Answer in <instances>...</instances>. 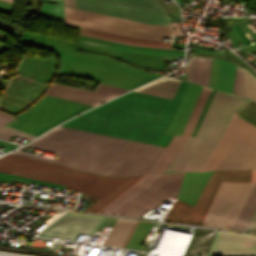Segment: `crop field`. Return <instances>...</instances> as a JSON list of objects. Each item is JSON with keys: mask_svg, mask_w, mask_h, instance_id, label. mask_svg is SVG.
<instances>
[{"mask_svg": "<svg viewBox=\"0 0 256 256\" xmlns=\"http://www.w3.org/2000/svg\"><path fill=\"white\" fill-rule=\"evenodd\" d=\"M250 100L237 95L216 91L196 137L188 136L185 144L164 171H200L206 159L220 141L233 114ZM239 140V139H238ZM234 144L217 170L256 169V149L238 141Z\"/></svg>", "mask_w": 256, "mask_h": 256, "instance_id": "2", "label": "crop field"}, {"mask_svg": "<svg viewBox=\"0 0 256 256\" xmlns=\"http://www.w3.org/2000/svg\"><path fill=\"white\" fill-rule=\"evenodd\" d=\"M81 34H83V33H81ZM83 35L92 36V35H88V34H83ZM92 37H97V36H92ZM97 38L106 39V38H102V37H97ZM106 40H111V39H106ZM111 41L120 42V43H125V42L116 41V40H111ZM125 44L136 45V46H146V47H156V46L137 45V44H130V43H125ZM156 48H166V47H156ZM166 49H170V48H166Z\"/></svg>", "mask_w": 256, "mask_h": 256, "instance_id": "31", "label": "crop field"}, {"mask_svg": "<svg viewBox=\"0 0 256 256\" xmlns=\"http://www.w3.org/2000/svg\"><path fill=\"white\" fill-rule=\"evenodd\" d=\"M125 91L102 83L95 91L52 83L46 94L95 106Z\"/></svg>", "mask_w": 256, "mask_h": 256, "instance_id": "10", "label": "crop field"}, {"mask_svg": "<svg viewBox=\"0 0 256 256\" xmlns=\"http://www.w3.org/2000/svg\"><path fill=\"white\" fill-rule=\"evenodd\" d=\"M12 135L20 137V138L28 140V141H30V140H32L33 138L36 137V136H33L31 134L22 132L20 130L14 129V128H11V127L6 126V125H4L0 128V138L1 139L9 141Z\"/></svg>", "mask_w": 256, "mask_h": 256, "instance_id": "23", "label": "crop field"}, {"mask_svg": "<svg viewBox=\"0 0 256 256\" xmlns=\"http://www.w3.org/2000/svg\"><path fill=\"white\" fill-rule=\"evenodd\" d=\"M212 59L190 56L187 81L208 86Z\"/></svg>", "mask_w": 256, "mask_h": 256, "instance_id": "13", "label": "crop field"}, {"mask_svg": "<svg viewBox=\"0 0 256 256\" xmlns=\"http://www.w3.org/2000/svg\"><path fill=\"white\" fill-rule=\"evenodd\" d=\"M159 175L160 174L144 176L127 191H125L122 195H120L117 199H115L112 203H110L106 208H104L100 213L112 214L122 205H124L126 202H128L130 199H132L134 196L144 190L147 186H149L153 181L158 178Z\"/></svg>", "mask_w": 256, "mask_h": 256, "instance_id": "14", "label": "crop field"}, {"mask_svg": "<svg viewBox=\"0 0 256 256\" xmlns=\"http://www.w3.org/2000/svg\"><path fill=\"white\" fill-rule=\"evenodd\" d=\"M13 118L14 117L0 111V127L12 120Z\"/></svg>", "mask_w": 256, "mask_h": 256, "instance_id": "28", "label": "crop field"}, {"mask_svg": "<svg viewBox=\"0 0 256 256\" xmlns=\"http://www.w3.org/2000/svg\"><path fill=\"white\" fill-rule=\"evenodd\" d=\"M20 176L66 185L69 186L68 188L70 189L98 198L100 200L87 209V211L93 212H99L102 210L141 177H143L135 176L129 178H115L84 172Z\"/></svg>", "mask_w": 256, "mask_h": 256, "instance_id": "3", "label": "crop field"}, {"mask_svg": "<svg viewBox=\"0 0 256 256\" xmlns=\"http://www.w3.org/2000/svg\"><path fill=\"white\" fill-rule=\"evenodd\" d=\"M105 217L67 213L40 235L75 240L80 233L92 234Z\"/></svg>", "mask_w": 256, "mask_h": 256, "instance_id": "9", "label": "crop field"}, {"mask_svg": "<svg viewBox=\"0 0 256 256\" xmlns=\"http://www.w3.org/2000/svg\"><path fill=\"white\" fill-rule=\"evenodd\" d=\"M184 174H161L155 182L113 214L139 217L150 208L156 209L170 196L176 198Z\"/></svg>", "mask_w": 256, "mask_h": 256, "instance_id": "8", "label": "crop field"}, {"mask_svg": "<svg viewBox=\"0 0 256 256\" xmlns=\"http://www.w3.org/2000/svg\"><path fill=\"white\" fill-rule=\"evenodd\" d=\"M60 4L42 3L40 16L63 20V2L62 0H42Z\"/></svg>", "mask_w": 256, "mask_h": 256, "instance_id": "22", "label": "crop field"}, {"mask_svg": "<svg viewBox=\"0 0 256 256\" xmlns=\"http://www.w3.org/2000/svg\"><path fill=\"white\" fill-rule=\"evenodd\" d=\"M80 42L91 44V45H96V46H101V47H106V48H111V49H115V50H120V51L139 52V53H147V54H155V55H166V56H178V57H183V55H184V54H178V53H165V52L124 49L125 47L119 48L120 46L115 47V46L105 45V44L91 42V41H87V40H82V39H80Z\"/></svg>", "mask_w": 256, "mask_h": 256, "instance_id": "25", "label": "crop field"}, {"mask_svg": "<svg viewBox=\"0 0 256 256\" xmlns=\"http://www.w3.org/2000/svg\"><path fill=\"white\" fill-rule=\"evenodd\" d=\"M10 178L18 179V180H22V181H27V182H32V183H37V184L46 185V186H51V187L60 188V189H64L66 187V186H61V185H57V184H52V183L37 181V180H33V179L23 178V177H19V176H15V175H0V181H3V182L9 183Z\"/></svg>", "mask_w": 256, "mask_h": 256, "instance_id": "26", "label": "crop field"}, {"mask_svg": "<svg viewBox=\"0 0 256 256\" xmlns=\"http://www.w3.org/2000/svg\"><path fill=\"white\" fill-rule=\"evenodd\" d=\"M64 9L65 25L157 41H160L161 36H171L169 28L165 26L145 24L66 7ZM81 18L84 21H81Z\"/></svg>", "mask_w": 256, "mask_h": 256, "instance_id": "4", "label": "crop field"}, {"mask_svg": "<svg viewBox=\"0 0 256 256\" xmlns=\"http://www.w3.org/2000/svg\"><path fill=\"white\" fill-rule=\"evenodd\" d=\"M235 68V65L221 60L216 89L231 93Z\"/></svg>", "mask_w": 256, "mask_h": 256, "instance_id": "19", "label": "crop field"}, {"mask_svg": "<svg viewBox=\"0 0 256 256\" xmlns=\"http://www.w3.org/2000/svg\"><path fill=\"white\" fill-rule=\"evenodd\" d=\"M208 254L256 256V235L217 231Z\"/></svg>", "mask_w": 256, "mask_h": 256, "instance_id": "11", "label": "crop field"}, {"mask_svg": "<svg viewBox=\"0 0 256 256\" xmlns=\"http://www.w3.org/2000/svg\"><path fill=\"white\" fill-rule=\"evenodd\" d=\"M246 230H249V231H256V211L255 213L253 214Z\"/></svg>", "mask_w": 256, "mask_h": 256, "instance_id": "29", "label": "crop field"}, {"mask_svg": "<svg viewBox=\"0 0 256 256\" xmlns=\"http://www.w3.org/2000/svg\"><path fill=\"white\" fill-rule=\"evenodd\" d=\"M170 26H171V31L173 34H180V35H184L180 28H179V23H175V22H170Z\"/></svg>", "mask_w": 256, "mask_h": 256, "instance_id": "30", "label": "crop field"}, {"mask_svg": "<svg viewBox=\"0 0 256 256\" xmlns=\"http://www.w3.org/2000/svg\"><path fill=\"white\" fill-rule=\"evenodd\" d=\"M152 224L153 223L151 222L139 221L136 229L134 230L131 238L126 245V248L140 250Z\"/></svg>", "mask_w": 256, "mask_h": 256, "instance_id": "20", "label": "crop field"}, {"mask_svg": "<svg viewBox=\"0 0 256 256\" xmlns=\"http://www.w3.org/2000/svg\"><path fill=\"white\" fill-rule=\"evenodd\" d=\"M232 92L256 99V78L237 66Z\"/></svg>", "mask_w": 256, "mask_h": 256, "instance_id": "15", "label": "crop field"}, {"mask_svg": "<svg viewBox=\"0 0 256 256\" xmlns=\"http://www.w3.org/2000/svg\"><path fill=\"white\" fill-rule=\"evenodd\" d=\"M0 174H6V173H2V172H0Z\"/></svg>", "mask_w": 256, "mask_h": 256, "instance_id": "33", "label": "crop field"}, {"mask_svg": "<svg viewBox=\"0 0 256 256\" xmlns=\"http://www.w3.org/2000/svg\"><path fill=\"white\" fill-rule=\"evenodd\" d=\"M187 83L181 82L173 100L132 91L62 126L166 147L173 136L163 133ZM62 126L27 145L58 153L55 160L18 151L12 154L88 172L135 176L146 174L164 150ZM12 154L0 159V171L16 174L74 170Z\"/></svg>", "mask_w": 256, "mask_h": 256, "instance_id": "1", "label": "crop field"}, {"mask_svg": "<svg viewBox=\"0 0 256 256\" xmlns=\"http://www.w3.org/2000/svg\"><path fill=\"white\" fill-rule=\"evenodd\" d=\"M8 1V0H7ZM12 1V0H11Z\"/></svg>", "mask_w": 256, "mask_h": 256, "instance_id": "34", "label": "crop field"}, {"mask_svg": "<svg viewBox=\"0 0 256 256\" xmlns=\"http://www.w3.org/2000/svg\"><path fill=\"white\" fill-rule=\"evenodd\" d=\"M141 1L150 2V3H154L155 4V2L153 0H141Z\"/></svg>", "mask_w": 256, "mask_h": 256, "instance_id": "32", "label": "crop field"}, {"mask_svg": "<svg viewBox=\"0 0 256 256\" xmlns=\"http://www.w3.org/2000/svg\"><path fill=\"white\" fill-rule=\"evenodd\" d=\"M81 32L92 34V35H97V36H102V37H107V38H111V39L121 40V41H125V42H130V43L170 47V43H166V42H156V41L132 39V38H127V37L107 34V33H103V32L83 29V28H81Z\"/></svg>", "mask_w": 256, "mask_h": 256, "instance_id": "21", "label": "crop field"}, {"mask_svg": "<svg viewBox=\"0 0 256 256\" xmlns=\"http://www.w3.org/2000/svg\"><path fill=\"white\" fill-rule=\"evenodd\" d=\"M253 186L223 182L202 225L231 228Z\"/></svg>", "mask_w": 256, "mask_h": 256, "instance_id": "7", "label": "crop field"}, {"mask_svg": "<svg viewBox=\"0 0 256 256\" xmlns=\"http://www.w3.org/2000/svg\"><path fill=\"white\" fill-rule=\"evenodd\" d=\"M210 90L211 89L209 88L203 87L181 136H174L169 145L161 154L159 160L155 163V165L153 164L154 166L149 170L148 173H163V171L172 161L174 156L184 144L187 136L191 134Z\"/></svg>", "mask_w": 256, "mask_h": 256, "instance_id": "12", "label": "crop field"}, {"mask_svg": "<svg viewBox=\"0 0 256 256\" xmlns=\"http://www.w3.org/2000/svg\"><path fill=\"white\" fill-rule=\"evenodd\" d=\"M249 104L256 106V102L251 100ZM247 104L241 111H239L237 116L249 122L256 127V107Z\"/></svg>", "mask_w": 256, "mask_h": 256, "instance_id": "24", "label": "crop field"}, {"mask_svg": "<svg viewBox=\"0 0 256 256\" xmlns=\"http://www.w3.org/2000/svg\"><path fill=\"white\" fill-rule=\"evenodd\" d=\"M180 82L179 80L161 78L136 89V91L172 99Z\"/></svg>", "mask_w": 256, "mask_h": 256, "instance_id": "16", "label": "crop field"}, {"mask_svg": "<svg viewBox=\"0 0 256 256\" xmlns=\"http://www.w3.org/2000/svg\"><path fill=\"white\" fill-rule=\"evenodd\" d=\"M64 6L168 26L166 14L157 5L136 0H64Z\"/></svg>", "mask_w": 256, "mask_h": 256, "instance_id": "5", "label": "crop field"}, {"mask_svg": "<svg viewBox=\"0 0 256 256\" xmlns=\"http://www.w3.org/2000/svg\"><path fill=\"white\" fill-rule=\"evenodd\" d=\"M194 55H197V56H207V57H217V58H223L225 60H228L230 62H233L235 64H238L240 66H242L239 62H237L235 59H233L226 51H224L223 55L222 56H217V55H208V54H199V53H194ZM244 67V66H243Z\"/></svg>", "mask_w": 256, "mask_h": 256, "instance_id": "27", "label": "crop field"}, {"mask_svg": "<svg viewBox=\"0 0 256 256\" xmlns=\"http://www.w3.org/2000/svg\"><path fill=\"white\" fill-rule=\"evenodd\" d=\"M135 223L134 220L118 219L103 244L123 246Z\"/></svg>", "mask_w": 256, "mask_h": 256, "instance_id": "17", "label": "crop field"}, {"mask_svg": "<svg viewBox=\"0 0 256 256\" xmlns=\"http://www.w3.org/2000/svg\"><path fill=\"white\" fill-rule=\"evenodd\" d=\"M222 181L251 183V171H214L194 207L176 199L164 220L201 224Z\"/></svg>", "mask_w": 256, "mask_h": 256, "instance_id": "6", "label": "crop field"}, {"mask_svg": "<svg viewBox=\"0 0 256 256\" xmlns=\"http://www.w3.org/2000/svg\"><path fill=\"white\" fill-rule=\"evenodd\" d=\"M256 209V184L232 228L244 230Z\"/></svg>", "mask_w": 256, "mask_h": 256, "instance_id": "18", "label": "crop field"}]
</instances>
